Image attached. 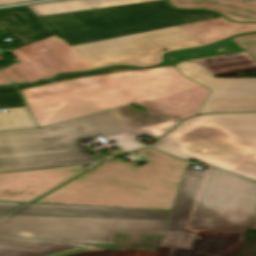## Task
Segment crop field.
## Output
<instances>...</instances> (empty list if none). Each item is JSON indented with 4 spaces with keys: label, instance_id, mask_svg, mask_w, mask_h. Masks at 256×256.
Returning a JSON list of instances; mask_svg holds the SVG:
<instances>
[{
    "label": "crop field",
    "instance_id": "obj_23",
    "mask_svg": "<svg viewBox=\"0 0 256 256\" xmlns=\"http://www.w3.org/2000/svg\"><path fill=\"white\" fill-rule=\"evenodd\" d=\"M29 1H36V0H0V6L29 2Z\"/></svg>",
    "mask_w": 256,
    "mask_h": 256
},
{
    "label": "crop field",
    "instance_id": "obj_3",
    "mask_svg": "<svg viewBox=\"0 0 256 256\" xmlns=\"http://www.w3.org/2000/svg\"><path fill=\"white\" fill-rule=\"evenodd\" d=\"M137 168L108 160L33 203L170 210L188 162L146 148Z\"/></svg>",
    "mask_w": 256,
    "mask_h": 256
},
{
    "label": "crop field",
    "instance_id": "obj_14",
    "mask_svg": "<svg viewBox=\"0 0 256 256\" xmlns=\"http://www.w3.org/2000/svg\"><path fill=\"white\" fill-rule=\"evenodd\" d=\"M209 92L202 86L137 104L181 121L198 114Z\"/></svg>",
    "mask_w": 256,
    "mask_h": 256
},
{
    "label": "crop field",
    "instance_id": "obj_19",
    "mask_svg": "<svg viewBox=\"0 0 256 256\" xmlns=\"http://www.w3.org/2000/svg\"><path fill=\"white\" fill-rule=\"evenodd\" d=\"M195 235L164 231L158 246L190 249Z\"/></svg>",
    "mask_w": 256,
    "mask_h": 256
},
{
    "label": "crop field",
    "instance_id": "obj_4",
    "mask_svg": "<svg viewBox=\"0 0 256 256\" xmlns=\"http://www.w3.org/2000/svg\"><path fill=\"white\" fill-rule=\"evenodd\" d=\"M98 135L116 140L125 152L144 147L128 135L114 109L42 128L0 131V172L105 159L94 158L77 144Z\"/></svg>",
    "mask_w": 256,
    "mask_h": 256
},
{
    "label": "crop field",
    "instance_id": "obj_15",
    "mask_svg": "<svg viewBox=\"0 0 256 256\" xmlns=\"http://www.w3.org/2000/svg\"><path fill=\"white\" fill-rule=\"evenodd\" d=\"M128 133L157 139L171 129L178 121L148 111L146 114L132 109L130 105L117 109Z\"/></svg>",
    "mask_w": 256,
    "mask_h": 256
},
{
    "label": "crop field",
    "instance_id": "obj_13",
    "mask_svg": "<svg viewBox=\"0 0 256 256\" xmlns=\"http://www.w3.org/2000/svg\"><path fill=\"white\" fill-rule=\"evenodd\" d=\"M99 249L116 248L0 236V256H69Z\"/></svg>",
    "mask_w": 256,
    "mask_h": 256
},
{
    "label": "crop field",
    "instance_id": "obj_21",
    "mask_svg": "<svg viewBox=\"0 0 256 256\" xmlns=\"http://www.w3.org/2000/svg\"><path fill=\"white\" fill-rule=\"evenodd\" d=\"M256 59V34L231 38Z\"/></svg>",
    "mask_w": 256,
    "mask_h": 256
},
{
    "label": "crop field",
    "instance_id": "obj_22",
    "mask_svg": "<svg viewBox=\"0 0 256 256\" xmlns=\"http://www.w3.org/2000/svg\"><path fill=\"white\" fill-rule=\"evenodd\" d=\"M24 204L0 203V215H6Z\"/></svg>",
    "mask_w": 256,
    "mask_h": 256
},
{
    "label": "crop field",
    "instance_id": "obj_24",
    "mask_svg": "<svg viewBox=\"0 0 256 256\" xmlns=\"http://www.w3.org/2000/svg\"><path fill=\"white\" fill-rule=\"evenodd\" d=\"M13 84L1 71H0V85Z\"/></svg>",
    "mask_w": 256,
    "mask_h": 256
},
{
    "label": "crop field",
    "instance_id": "obj_7",
    "mask_svg": "<svg viewBox=\"0 0 256 256\" xmlns=\"http://www.w3.org/2000/svg\"><path fill=\"white\" fill-rule=\"evenodd\" d=\"M256 212V182L212 167L189 228L247 233Z\"/></svg>",
    "mask_w": 256,
    "mask_h": 256
},
{
    "label": "crop field",
    "instance_id": "obj_17",
    "mask_svg": "<svg viewBox=\"0 0 256 256\" xmlns=\"http://www.w3.org/2000/svg\"><path fill=\"white\" fill-rule=\"evenodd\" d=\"M242 52L244 51L237 47L235 44H233L231 41L227 40L199 50L170 54L166 56V63L163 66H175L176 64L182 61L229 55Z\"/></svg>",
    "mask_w": 256,
    "mask_h": 256
},
{
    "label": "crop field",
    "instance_id": "obj_25",
    "mask_svg": "<svg viewBox=\"0 0 256 256\" xmlns=\"http://www.w3.org/2000/svg\"><path fill=\"white\" fill-rule=\"evenodd\" d=\"M249 230H254V231H256V215H255V217H254V220H253L252 225H251V227H250Z\"/></svg>",
    "mask_w": 256,
    "mask_h": 256
},
{
    "label": "crop field",
    "instance_id": "obj_9",
    "mask_svg": "<svg viewBox=\"0 0 256 256\" xmlns=\"http://www.w3.org/2000/svg\"><path fill=\"white\" fill-rule=\"evenodd\" d=\"M80 172L75 166L0 174V201L28 202Z\"/></svg>",
    "mask_w": 256,
    "mask_h": 256
},
{
    "label": "crop field",
    "instance_id": "obj_1",
    "mask_svg": "<svg viewBox=\"0 0 256 256\" xmlns=\"http://www.w3.org/2000/svg\"><path fill=\"white\" fill-rule=\"evenodd\" d=\"M0 24L25 46L1 70L14 84L111 65L145 67L166 52L256 31L202 10H178L166 0H69L0 10Z\"/></svg>",
    "mask_w": 256,
    "mask_h": 256
},
{
    "label": "crop field",
    "instance_id": "obj_18",
    "mask_svg": "<svg viewBox=\"0 0 256 256\" xmlns=\"http://www.w3.org/2000/svg\"><path fill=\"white\" fill-rule=\"evenodd\" d=\"M226 136L228 135L221 127H197L173 142L181 143Z\"/></svg>",
    "mask_w": 256,
    "mask_h": 256
},
{
    "label": "crop field",
    "instance_id": "obj_11",
    "mask_svg": "<svg viewBox=\"0 0 256 256\" xmlns=\"http://www.w3.org/2000/svg\"><path fill=\"white\" fill-rule=\"evenodd\" d=\"M129 70L137 69L118 67L90 73L65 75L53 82ZM53 82H41L37 85ZM37 85L0 87V108H6L7 110L4 113L0 111V130L37 127L19 91V89Z\"/></svg>",
    "mask_w": 256,
    "mask_h": 256
},
{
    "label": "crop field",
    "instance_id": "obj_5",
    "mask_svg": "<svg viewBox=\"0 0 256 256\" xmlns=\"http://www.w3.org/2000/svg\"><path fill=\"white\" fill-rule=\"evenodd\" d=\"M196 126H221L230 137L181 144L171 142ZM152 147L187 161L193 158L256 180L255 175L215 159L238 154H248L256 159V114L206 115L191 118Z\"/></svg>",
    "mask_w": 256,
    "mask_h": 256
},
{
    "label": "crop field",
    "instance_id": "obj_20",
    "mask_svg": "<svg viewBox=\"0 0 256 256\" xmlns=\"http://www.w3.org/2000/svg\"><path fill=\"white\" fill-rule=\"evenodd\" d=\"M218 159L233 164L237 166L236 168L256 175V160L248 155H238Z\"/></svg>",
    "mask_w": 256,
    "mask_h": 256
},
{
    "label": "crop field",
    "instance_id": "obj_6",
    "mask_svg": "<svg viewBox=\"0 0 256 256\" xmlns=\"http://www.w3.org/2000/svg\"><path fill=\"white\" fill-rule=\"evenodd\" d=\"M165 222L7 216L0 220V235L64 242L112 244L114 233L162 234Z\"/></svg>",
    "mask_w": 256,
    "mask_h": 256
},
{
    "label": "crop field",
    "instance_id": "obj_26",
    "mask_svg": "<svg viewBox=\"0 0 256 256\" xmlns=\"http://www.w3.org/2000/svg\"><path fill=\"white\" fill-rule=\"evenodd\" d=\"M2 217H4V216H0V218H2Z\"/></svg>",
    "mask_w": 256,
    "mask_h": 256
},
{
    "label": "crop field",
    "instance_id": "obj_16",
    "mask_svg": "<svg viewBox=\"0 0 256 256\" xmlns=\"http://www.w3.org/2000/svg\"><path fill=\"white\" fill-rule=\"evenodd\" d=\"M169 2L178 8L212 9L235 21H256V4L246 0H169Z\"/></svg>",
    "mask_w": 256,
    "mask_h": 256
},
{
    "label": "crop field",
    "instance_id": "obj_10",
    "mask_svg": "<svg viewBox=\"0 0 256 256\" xmlns=\"http://www.w3.org/2000/svg\"><path fill=\"white\" fill-rule=\"evenodd\" d=\"M169 212L30 203L10 215L166 220Z\"/></svg>",
    "mask_w": 256,
    "mask_h": 256
},
{
    "label": "crop field",
    "instance_id": "obj_12",
    "mask_svg": "<svg viewBox=\"0 0 256 256\" xmlns=\"http://www.w3.org/2000/svg\"><path fill=\"white\" fill-rule=\"evenodd\" d=\"M192 167L193 164L189 163L164 230L196 234L186 230V225L209 166L205 165L200 170Z\"/></svg>",
    "mask_w": 256,
    "mask_h": 256
},
{
    "label": "crop field",
    "instance_id": "obj_2",
    "mask_svg": "<svg viewBox=\"0 0 256 256\" xmlns=\"http://www.w3.org/2000/svg\"><path fill=\"white\" fill-rule=\"evenodd\" d=\"M202 86L175 67L106 74L20 90L38 127Z\"/></svg>",
    "mask_w": 256,
    "mask_h": 256
},
{
    "label": "crop field",
    "instance_id": "obj_8",
    "mask_svg": "<svg viewBox=\"0 0 256 256\" xmlns=\"http://www.w3.org/2000/svg\"><path fill=\"white\" fill-rule=\"evenodd\" d=\"M175 67L183 76L212 89L199 114L256 111V79L215 78L200 65L188 62Z\"/></svg>",
    "mask_w": 256,
    "mask_h": 256
}]
</instances>
